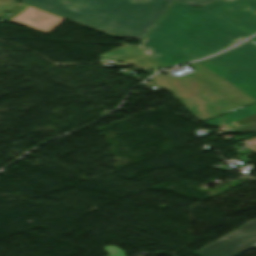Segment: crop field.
I'll return each instance as SVG.
<instances>
[{
    "mask_svg": "<svg viewBox=\"0 0 256 256\" xmlns=\"http://www.w3.org/2000/svg\"><path fill=\"white\" fill-rule=\"evenodd\" d=\"M256 33V0H219L200 9L174 3L138 46L146 55L119 61L156 70L206 57Z\"/></svg>",
    "mask_w": 256,
    "mask_h": 256,
    "instance_id": "8a807250",
    "label": "crop field"
},
{
    "mask_svg": "<svg viewBox=\"0 0 256 256\" xmlns=\"http://www.w3.org/2000/svg\"><path fill=\"white\" fill-rule=\"evenodd\" d=\"M194 70L151 80L171 92L200 122L256 103V47L244 43L189 64Z\"/></svg>",
    "mask_w": 256,
    "mask_h": 256,
    "instance_id": "ac0d7876",
    "label": "crop field"
},
{
    "mask_svg": "<svg viewBox=\"0 0 256 256\" xmlns=\"http://www.w3.org/2000/svg\"><path fill=\"white\" fill-rule=\"evenodd\" d=\"M114 37L143 39L169 0H16Z\"/></svg>",
    "mask_w": 256,
    "mask_h": 256,
    "instance_id": "34b2d1b8",
    "label": "crop field"
},
{
    "mask_svg": "<svg viewBox=\"0 0 256 256\" xmlns=\"http://www.w3.org/2000/svg\"><path fill=\"white\" fill-rule=\"evenodd\" d=\"M256 243V219L224 235L193 254L197 256H232Z\"/></svg>",
    "mask_w": 256,
    "mask_h": 256,
    "instance_id": "412701ff",
    "label": "crop field"
},
{
    "mask_svg": "<svg viewBox=\"0 0 256 256\" xmlns=\"http://www.w3.org/2000/svg\"><path fill=\"white\" fill-rule=\"evenodd\" d=\"M6 20L16 25L48 33L64 19L25 5Z\"/></svg>",
    "mask_w": 256,
    "mask_h": 256,
    "instance_id": "f4fd0767",
    "label": "crop field"
},
{
    "mask_svg": "<svg viewBox=\"0 0 256 256\" xmlns=\"http://www.w3.org/2000/svg\"><path fill=\"white\" fill-rule=\"evenodd\" d=\"M172 1H177V2L185 3V4L196 6V7H201L203 5H206L216 0H172Z\"/></svg>",
    "mask_w": 256,
    "mask_h": 256,
    "instance_id": "dd49c442",
    "label": "crop field"
},
{
    "mask_svg": "<svg viewBox=\"0 0 256 256\" xmlns=\"http://www.w3.org/2000/svg\"><path fill=\"white\" fill-rule=\"evenodd\" d=\"M105 251L109 254V256H125L123 250L115 247V246H107L103 247Z\"/></svg>",
    "mask_w": 256,
    "mask_h": 256,
    "instance_id": "e52e79f7",
    "label": "crop field"
},
{
    "mask_svg": "<svg viewBox=\"0 0 256 256\" xmlns=\"http://www.w3.org/2000/svg\"><path fill=\"white\" fill-rule=\"evenodd\" d=\"M252 153L256 154V136L243 140Z\"/></svg>",
    "mask_w": 256,
    "mask_h": 256,
    "instance_id": "d8731c3e",
    "label": "crop field"
},
{
    "mask_svg": "<svg viewBox=\"0 0 256 256\" xmlns=\"http://www.w3.org/2000/svg\"><path fill=\"white\" fill-rule=\"evenodd\" d=\"M234 132H256V124Z\"/></svg>",
    "mask_w": 256,
    "mask_h": 256,
    "instance_id": "5a996713",
    "label": "crop field"
},
{
    "mask_svg": "<svg viewBox=\"0 0 256 256\" xmlns=\"http://www.w3.org/2000/svg\"><path fill=\"white\" fill-rule=\"evenodd\" d=\"M249 41H251L252 43L256 44V37L250 39Z\"/></svg>",
    "mask_w": 256,
    "mask_h": 256,
    "instance_id": "3316defc",
    "label": "crop field"
},
{
    "mask_svg": "<svg viewBox=\"0 0 256 256\" xmlns=\"http://www.w3.org/2000/svg\"><path fill=\"white\" fill-rule=\"evenodd\" d=\"M109 54H111V53H109ZM109 54L104 55V57L107 56V55H109Z\"/></svg>",
    "mask_w": 256,
    "mask_h": 256,
    "instance_id": "28ad6ade",
    "label": "crop field"
}]
</instances>
